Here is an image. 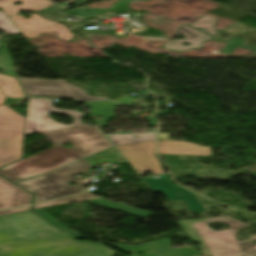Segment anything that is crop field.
<instances>
[{
	"label": "crop field",
	"mask_w": 256,
	"mask_h": 256,
	"mask_svg": "<svg viewBox=\"0 0 256 256\" xmlns=\"http://www.w3.org/2000/svg\"><path fill=\"white\" fill-rule=\"evenodd\" d=\"M32 211L0 217V256H81L100 244L72 239Z\"/></svg>",
	"instance_id": "crop-field-1"
},
{
	"label": "crop field",
	"mask_w": 256,
	"mask_h": 256,
	"mask_svg": "<svg viewBox=\"0 0 256 256\" xmlns=\"http://www.w3.org/2000/svg\"><path fill=\"white\" fill-rule=\"evenodd\" d=\"M192 242L201 245L204 256H256V246L250 244V240L256 239V235L247 242L235 240L234 233L238 228H246L248 225L228 216L177 221ZM213 222H223L230 225V229L215 231L208 226Z\"/></svg>",
	"instance_id": "crop-field-2"
},
{
	"label": "crop field",
	"mask_w": 256,
	"mask_h": 256,
	"mask_svg": "<svg viewBox=\"0 0 256 256\" xmlns=\"http://www.w3.org/2000/svg\"><path fill=\"white\" fill-rule=\"evenodd\" d=\"M80 159L58 146H54L33 157L1 168L0 174L15 182L55 170Z\"/></svg>",
	"instance_id": "crop-field-3"
},
{
	"label": "crop field",
	"mask_w": 256,
	"mask_h": 256,
	"mask_svg": "<svg viewBox=\"0 0 256 256\" xmlns=\"http://www.w3.org/2000/svg\"><path fill=\"white\" fill-rule=\"evenodd\" d=\"M44 136L54 145L60 146L70 142L75 148L70 150L63 148L81 158L111 147L98 128L82 124L44 134Z\"/></svg>",
	"instance_id": "crop-field-4"
},
{
	"label": "crop field",
	"mask_w": 256,
	"mask_h": 256,
	"mask_svg": "<svg viewBox=\"0 0 256 256\" xmlns=\"http://www.w3.org/2000/svg\"><path fill=\"white\" fill-rule=\"evenodd\" d=\"M25 118L0 106V168L21 158Z\"/></svg>",
	"instance_id": "crop-field-5"
},
{
	"label": "crop field",
	"mask_w": 256,
	"mask_h": 256,
	"mask_svg": "<svg viewBox=\"0 0 256 256\" xmlns=\"http://www.w3.org/2000/svg\"><path fill=\"white\" fill-rule=\"evenodd\" d=\"M91 180L93 179L90 177L80 181L73 179L71 181L76 182L78 184L72 186L68 184L65 180H63L55 172H53L41 177H37L16 184L36 194L35 199L33 201V203H35L43 200L78 193L84 190V185L90 183Z\"/></svg>",
	"instance_id": "crop-field-6"
},
{
	"label": "crop field",
	"mask_w": 256,
	"mask_h": 256,
	"mask_svg": "<svg viewBox=\"0 0 256 256\" xmlns=\"http://www.w3.org/2000/svg\"><path fill=\"white\" fill-rule=\"evenodd\" d=\"M49 112H58L68 115L73 122L68 126L81 123L80 117L83 115L77 111L59 110L53 107L51 100L29 99V109L27 116L26 136L38 132L41 134L68 127L60 124L48 117Z\"/></svg>",
	"instance_id": "crop-field-7"
},
{
	"label": "crop field",
	"mask_w": 256,
	"mask_h": 256,
	"mask_svg": "<svg viewBox=\"0 0 256 256\" xmlns=\"http://www.w3.org/2000/svg\"><path fill=\"white\" fill-rule=\"evenodd\" d=\"M136 172L163 174L162 164L155 156L156 141L116 146Z\"/></svg>",
	"instance_id": "crop-field-8"
},
{
	"label": "crop field",
	"mask_w": 256,
	"mask_h": 256,
	"mask_svg": "<svg viewBox=\"0 0 256 256\" xmlns=\"http://www.w3.org/2000/svg\"><path fill=\"white\" fill-rule=\"evenodd\" d=\"M10 20L20 30L26 39L34 38L40 33L51 31H57L59 39L70 40L73 38L66 26L45 20L39 17L37 14L31 15L30 19H25L19 15L11 17Z\"/></svg>",
	"instance_id": "crop-field-9"
},
{
	"label": "crop field",
	"mask_w": 256,
	"mask_h": 256,
	"mask_svg": "<svg viewBox=\"0 0 256 256\" xmlns=\"http://www.w3.org/2000/svg\"><path fill=\"white\" fill-rule=\"evenodd\" d=\"M160 177L161 178L158 179H154L153 177L144 178L143 180L148 184L152 191L164 193L169 200L182 199L192 212H205L203 206L191 192L173 186L165 175Z\"/></svg>",
	"instance_id": "crop-field-10"
},
{
	"label": "crop field",
	"mask_w": 256,
	"mask_h": 256,
	"mask_svg": "<svg viewBox=\"0 0 256 256\" xmlns=\"http://www.w3.org/2000/svg\"><path fill=\"white\" fill-rule=\"evenodd\" d=\"M26 95L74 99L60 80L19 78ZM75 100V99H74Z\"/></svg>",
	"instance_id": "crop-field-11"
},
{
	"label": "crop field",
	"mask_w": 256,
	"mask_h": 256,
	"mask_svg": "<svg viewBox=\"0 0 256 256\" xmlns=\"http://www.w3.org/2000/svg\"><path fill=\"white\" fill-rule=\"evenodd\" d=\"M115 243L128 247L136 252L141 251L144 253L142 254L143 256H196L201 254L192 246H183L172 249L170 248V239L167 238L137 246H128L118 242Z\"/></svg>",
	"instance_id": "crop-field-12"
},
{
	"label": "crop field",
	"mask_w": 256,
	"mask_h": 256,
	"mask_svg": "<svg viewBox=\"0 0 256 256\" xmlns=\"http://www.w3.org/2000/svg\"><path fill=\"white\" fill-rule=\"evenodd\" d=\"M159 154L210 156L211 148L186 141L166 139L159 141Z\"/></svg>",
	"instance_id": "crop-field-13"
},
{
	"label": "crop field",
	"mask_w": 256,
	"mask_h": 256,
	"mask_svg": "<svg viewBox=\"0 0 256 256\" xmlns=\"http://www.w3.org/2000/svg\"><path fill=\"white\" fill-rule=\"evenodd\" d=\"M32 195L0 177V209L29 204Z\"/></svg>",
	"instance_id": "crop-field-14"
},
{
	"label": "crop field",
	"mask_w": 256,
	"mask_h": 256,
	"mask_svg": "<svg viewBox=\"0 0 256 256\" xmlns=\"http://www.w3.org/2000/svg\"><path fill=\"white\" fill-rule=\"evenodd\" d=\"M179 33L186 36L185 39L180 40H174L168 43L164 48L169 49V50H183V51H188L190 49H195V48H200L201 42L213 39V37L200 32L196 29L187 27L185 25H182L178 28ZM183 43H188L190 44L189 46H183Z\"/></svg>",
	"instance_id": "crop-field-15"
},
{
	"label": "crop field",
	"mask_w": 256,
	"mask_h": 256,
	"mask_svg": "<svg viewBox=\"0 0 256 256\" xmlns=\"http://www.w3.org/2000/svg\"><path fill=\"white\" fill-rule=\"evenodd\" d=\"M14 1H21L23 2V5L16 6L12 3ZM52 2L48 0H1L0 6L2 9L5 10V12L8 14V16L17 14L19 10H42L44 8H47L49 6H52Z\"/></svg>",
	"instance_id": "crop-field-16"
},
{
	"label": "crop field",
	"mask_w": 256,
	"mask_h": 256,
	"mask_svg": "<svg viewBox=\"0 0 256 256\" xmlns=\"http://www.w3.org/2000/svg\"><path fill=\"white\" fill-rule=\"evenodd\" d=\"M87 107H89L90 114L96 116H102V120L96 121L98 126L107 125L109 120L115 118V115L112 114L114 108L118 106V104L113 102H94V103H85Z\"/></svg>",
	"instance_id": "crop-field-17"
},
{
	"label": "crop field",
	"mask_w": 256,
	"mask_h": 256,
	"mask_svg": "<svg viewBox=\"0 0 256 256\" xmlns=\"http://www.w3.org/2000/svg\"><path fill=\"white\" fill-rule=\"evenodd\" d=\"M133 136H137V138H133ZM109 138L114 145L152 141L156 140V130H154L152 133L146 134L110 135Z\"/></svg>",
	"instance_id": "crop-field-18"
},
{
	"label": "crop field",
	"mask_w": 256,
	"mask_h": 256,
	"mask_svg": "<svg viewBox=\"0 0 256 256\" xmlns=\"http://www.w3.org/2000/svg\"><path fill=\"white\" fill-rule=\"evenodd\" d=\"M0 89L10 97L24 96L16 78L0 74Z\"/></svg>",
	"instance_id": "crop-field-19"
},
{
	"label": "crop field",
	"mask_w": 256,
	"mask_h": 256,
	"mask_svg": "<svg viewBox=\"0 0 256 256\" xmlns=\"http://www.w3.org/2000/svg\"><path fill=\"white\" fill-rule=\"evenodd\" d=\"M91 168V164L81 160L77 163H74L72 165H69L63 169H60L56 171L57 174H59L63 179L66 181L73 179L72 175L82 172H87Z\"/></svg>",
	"instance_id": "crop-field-20"
},
{
	"label": "crop field",
	"mask_w": 256,
	"mask_h": 256,
	"mask_svg": "<svg viewBox=\"0 0 256 256\" xmlns=\"http://www.w3.org/2000/svg\"><path fill=\"white\" fill-rule=\"evenodd\" d=\"M88 202L94 203V204H97V205H101V206H104V207L116 209V210L129 212V213L140 215V216H143V217H146V216H148L152 213V212L144 211V210H141V209L133 208V207L122 205V204H115V203H112V202L104 200V199L88 201Z\"/></svg>",
	"instance_id": "crop-field-21"
},
{
	"label": "crop field",
	"mask_w": 256,
	"mask_h": 256,
	"mask_svg": "<svg viewBox=\"0 0 256 256\" xmlns=\"http://www.w3.org/2000/svg\"><path fill=\"white\" fill-rule=\"evenodd\" d=\"M93 198H101V196L95 197L86 191L80 195L71 196V197H67V198H63V199H59V200H55V201H51V202L35 204V205H33V208L36 209V208H43V207H51V206L61 205V204H64V203H67V202H70L73 200H89V199H93Z\"/></svg>",
	"instance_id": "crop-field-22"
},
{
	"label": "crop field",
	"mask_w": 256,
	"mask_h": 256,
	"mask_svg": "<svg viewBox=\"0 0 256 256\" xmlns=\"http://www.w3.org/2000/svg\"><path fill=\"white\" fill-rule=\"evenodd\" d=\"M63 84L68 88V90L73 94V96L78 101H98V100H108L106 97H90L86 95L82 90H80L78 87L73 86L69 83H67L65 80H61Z\"/></svg>",
	"instance_id": "crop-field-23"
},
{
	"label": "crop field",
	"mask_w": 256,
	"mask_h": 256,
	"mask_svg": "<svg viewBox=\"0 0 256 256\" xmlns=\"http://www.w3.org/2000/svg\"><path fill=\"white\" fill-rule=\"evenodd\" d=\"M215 20H216L215 18L205 16L200 20H198L197 22H195L194 24H192L190 27L204 28L206 29L205 33L214 37L215 35L218 34L214 28Z\"/></svg>",
	"instance_id": "crop-field-24"
},
{
	"label": "crop field",
	"mask_w": 256,
	"mask_h": 256,
	"mask_svg": "<svg viewBox=\"0 0 256 256\" xmlns=\"http://www.w3.org/2000/svg\"><path fill=\"white\" fill-rule=\"evenodd\" d=\"M115 151L113 148H111V149H108L106 151H103L101 153H98L96 155L90 156L85 159L89 162L101 161V160H106V159L112 160L114 162L122 161V159L119 157V155Z\"/></svg>",
	"instance_id": "crop-field-25"
},
{
	"label": "crop field",
	"mask_w": 256,
	"mask_h": 256,
	"mask_svg": "<svg viewBox=\"0 0 256 256\" xmlns=\"http://www.w3.org/2000/svg\"><path fill=\"white\" fill-rule=\"evenodd\" d=\"M130 0H121L113 5L109 10L104 9H85L81 13H96V12H116V11H125Z\"/></svg>",
	"instance_id": "crop-field-26"
},
{
	"label": "crop field",
	"mask_w": 256,
	"mask_h": 256,
	"mask_svg": "<svg viewBox=\"0 0 256 256\" xmlns=\"http://www.w3.org/2000/svg\"><path fill=\"white\" fill-rule=\"evenodd\" d=\"M0 68L6 69L5 73L7 75L17 77L5 49H1L0 51Z\"/></svg>",
	"instance_id": "crop-field-27"
},
{
	"label": "crop field",
	"mask_w": 256,
	"mask_h": 256,
	"mask_svg": "<svg viewBox=\"0 0 256 256\" xmlns=\"http://www.w3.org/2000/svg\"><path fill=\"white\" fill-rule=\"evenodd\" d=\"M0 28L3 29L7 35L20 33L2 11L0 12Z\"/></svg>",
	"instance_id": "crop-field-28"
},
{
	"label": "crop field",
	"mask_w": 256,
	"mask_h": 256,
	"mask_svg": "<svg viewBox=\"0 0 256 256\" xmlns=\"http://www.w3.org/2000/svg\"><path fill=\"white\" fill-rule=\"evenodd\" d=\"M115 101L125 103V104H129V105L135 103V104L143 105L145 107L151 106V104H149V103H138L137 98H134V97H131V96H128V95H125V96H123V97H121V98H119Z\"/></svg>",
	"instance_id": "crop-field-29"
},
{
	"label": "crop field",
	"mask_w": 256,
	"mask_h": 256,
	"mask_svg": "<svg viewBox=\"0 0 256 256\" xmlns=\"http://www.w3.org/2000/svg\"><path fill=\"white\" fill-rule=\"evenodd\" d=\"M242 43H243L242 40L232 38V39L230 40V42L228 43L229 46H228L226 49H224L223 52L231 53V52L233 51V49H234L236 46H241V47H243V46H242ZM243 48L252 49V50H255V51H256V48H250V47H243Z\"/></svg>",
	"instance_id": "crop-field-30"
},
{
	"label": "crop field",
	"mask_w": 256,
	"mask_h": 256,
	"mask_svg": "<svg viewBox=\"0 0 256 256\" xmlns=\"http://www.w3.org/2000/svg\"><path fill=\"white\" fill-rule=\"evenodd\" d=\"M37 213H39L40 215H42L43 217H45L47 220H49L50 222H52L53 224H55L56 226H58L61 230H66L68 231L69 228H67L66 226H64L62 223H60L59 221H57L56 219H54L53 217H51L50 215L46 214L45 212H43L42 210H37Z\"/></svg>",
	"instance_id": "crop-field-31"
},
{
	"label": "crop field",
	"mask_w": 256,
	"mask_h": 256,
	"mask_svg": "<svg viewBox=\"0 0 256 256\" xmlns=\"http://www.w3.org/2000/svg\"><path fill=\"white\" fill-rule=\"evenodd\" d=\"M28 210H30V206L22 207V208H16V209H11V210L0 211V215L17 213V212L28 211Z\"/></svg>",
	"instance_id": "crop-field-32"
},
{
	"label": "crop field",
	"mask_w": 256,
	"mask_h": 256,
	"mask_svg": "<svg viewBox=\"0 0 256 256\" xmlns=\"http://www.w3.org/2000/svg\"><path fill=\"white\" fill-rule=\"evenodd\" d=\"M5 99H6V95L0 90V105L4 104Z\"/></svg>",
	"instance_id": "crop-field-33"
},
{
	"label": "crop field",
	"mask_w": 256,
	"mask_h": 256,
	"mask_svg": "<svg viewBox=\"0 0 256 256\" xmlns=\"http://www.w3.org/2000/svg\"><path fill=\"white\" fill-rule=\"evenodd\" d=\"M169 134L168 133H159V139H165L168 138Z\"/></svg>",
	"instance_id": "crop-field-34"
},
{
	"label": "crop field",
	"mask_w": 256,
	"mask_h": 256,
	"mask_svg": "<svg viewBox=\"0 0 256 256\" xmlns=\"http://www.w3.org/2000/svg\"><path fill=\"white\" fill-rule=\"evenodd\" d=\"M109 245H112V244H110V243H108ZM112 246H114V247H117V248H120V249H122V250H124V251H126V252H128V253H131V252H129V251H127V250H125V249H123V248H121V247H118V246H115V245H112ZM119 249V250H120ZM132 254V253H131ZM132 256H136V255H134V254H132Z\"/></svg>",
	"instance_id": "crop-field-35"
},
{
	"label": "crop field",
	"mask_w": 256,
	"mask_h": 256,
	"mask_svg": "<svg viewBox=\"0 0 256 256\" xmlns=\"http://www.w3.org/2000/svg\"><path fill=\"white\" fill-rule=\"evenodd\" d=\"M200 256H203V255H200Z\"/></svg>",
	"instance_id": "crop-field-36"
}]
</instances>
